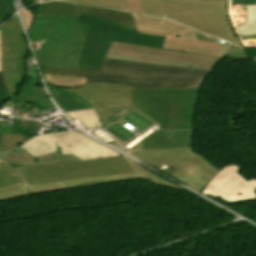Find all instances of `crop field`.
Here are the masks:
<instances>
[{
  "mask_svg": "<svg viewBox=\"0 0 256 256\" xmlns=\"http://www.w3.org/2000/svg\"><path fill=\"white\" fill-rule=\"evenodd\" d=\"M9 98L3 77L0 73V104Z\"/></svg>",
  "mask_w": 256,
  "mask_h": 256,
  "instance_id": "31",
  "label": "crop field"
},
{
  "mask_svg": "<svg viewBox=\"0 0 256 256\" xmlns=\"http://www.w3.org/2000/svg\"><path fill=\"white\" fill-rule=\"evenodd\" d=\"M0 134L4 136L3 138L9 140L16 146L29 139L28 137L20 136L2 129H0Z\"/></svg>",
  "mask_w": 256,
  "mask_h": 256,
  "instance_id": "28",
  "label": "crop field"
},
{
  "mask_svg": "<svg viewBox=\"0 0 256 256\" xmlns=\"http://www.w3.org/2000/svg\"><path fill=\"white\" fill-rule=\"evenodd\" d=\"M192 134V131L158 130L142 139L143 149L185 147V142H191Z\"/></svg>",
  "mask_w": 256,
  "mask_h": 256,
  "instance_id": "17",
  "label": "crop field"
},
{
  "mask_svg": "<svg viewBox=\"0 0 256 256\" xmlns=\"http://www.w3.org/2000/svg\"><path fill=\"white\" fill-rule=\"evenodd\" d=\"M236 165L221 169L203 189L201 194L227 203L256 201V180L247 182L238 173Z\"/></svg>",
  "mask_w": 256,
  "mask_h": 256,
  "instance_id": "11",
  "label": "crop field"
},
{
  "mask_svg": "<svg viewBox=\"0 0 256 256\" xmlns=\"http://www.w3.org/2000/svg\"><path fill=\"white\" fill-rule=\"evenodd\" d=\"M0 162H2V161L0 160Z\"/></svg>",
  "mask_w": 256,
  "mask_h": 256,
  "instance_id": "39",
  "label": "crop field"
},
{
  "mask_svg": "<svg viewBox=\"0 0 256 256\" xmlns=\"http://www.w3.org/2000/svg\"><path fill=\"white\" fill-rule=\"evenodd\" d=\"M232 4L255 5L256 4V0H232Z\"/></svg>",
  "mask_w": 256,
  "mask_h": 256,
  "instance_id": "34",
  "label": "crop field"
},
{
  "mask_svg": "<svg viewBox=\"0 0 256 256\" xmlns=\"http://www.w3.org/2000/svg\"><path fill=\"white\" fill-rule=\"evenodd\" d=\"M0 159L19 168L80 160L72 155H58L55 154V152L33 158L30 154L26 153L19 147L8 153H0Z\"/></svg>",
  "mask_w": 256,
  "mask_h": 256,
  "instance_id": "16",
  "label": "crop field"
},
{
  "mask_svg": "<svg viewBox=\"0 0 256 256\" xmlns=\"http://www.w3.org/2000/svg\"><path fill=\"white\" fill-rule=\"evenodd\" d=\"M138 32L166 36L164 49L222 58L228 44L197 40L196 31L175 22L145 15L132 14Z\"/></svg>",
  "mask_w": 256,
  "mask_h": 256,
  "instance_id": "8",
  "label": "crop field"
},
{
  "mask_svg": "<svg viewBox=\"0 0 256 256\" xmlns=\"http://www.w3.org/2000/svg\"><path fill=\"white\" fill-rule=\"evenodd\" d=\"M66 90L90 101L101 122L122 108L132 107L130 86L100 82Z\"/></svg>",
  "mask_w": 256,
  "mask_h": 256,
  "instance_id": "10",
  "label": "crop field"
},
{
  "mask_svg": "<svg viewBox=\"0 0 256 256\" xmlns=\"http://www.w3.org/2000/svg\"><path fill=\"white\" fill-rule=\"evenodd\" d=\"M40 15L43 14H61V13H81V14H90L98 15L100 17L106 18L113 22H116L119 25H122L126 28L136 30V26L133 22L132 15L129 13L107 10L96 7H88L76 4L62 3V2H53L41 5L38 8ZM137 31V30H136Z\"/></svg>",
  "mask_w": 256,
  "mask_h": 256,
  "instance_id": "14",
  "label": "crop field"
},
{
  "mask_svg": "<svg viewBox=\"0 0 256 256\" xmlns=\"http://www.w3.org/2000/svg\"><path fill=\"white\" fill-rule=\"evenodd\" d=\"M20 170L28 185L133 172L122 156L27 167Z\"/></svg>",
  "mask_w": 256,
  "mask_h": 256,
  "instance_id": "7",
  "label": "crop field"
},
{
  "mask_svg": "<svg viewBox=\"0 0 256 256\" xmlns=\"http://www.w3.org/2000/svg\"><path fill=\"white\" fill-rule=\"evenodd\" d=\"M136 178L138 177L135 173H128V174H122V175H116V176H102V177H95V178H88V179H81V180H74V181L28 186V189L31 194H34V193H40V192H47V191L60 190V189H66V188H72V187H79V186L107 183V182H114V181H121V180H129V179H136Z\"/></svg>",
  "mask_w": 256,
  "mask_h": 256,
  "instance_id": "18",
  "label": "crop field"
},
{
  "mask_svg": "<svg viewBox=\"0 0 256 256\" xmlns=\"http://www.w3.org/2000/svg\"><path fill=\"white\" fill-rule=\"evenodd\" d=\"M159 15L241 45L227 17L228 0H61ZM243 47V46H242Z\"/></svg>",
  "mask_w": 256,
  "mask_h": 256,
  "instance_id": "1",
  "label": "crop field"
},
{
  "mask_svg": "<svg viewBox=\"0 0 256 256\" xmlns=\"http://www.w3.org/2000/svg\"><path fill=\"white\" fill-rule=\"evenodd\" d=\"M179 56V57H178ZM106 57L209 71L219 58L156 49L114 41Z\"/></svg>",
  "mask_w": 256,
  "mask_h": 256,
  "instance_id": "9",
  "label": "crop field"
},
{
  "mask_svg": "<svg viewBox=\"0 0 256 256\" xmlns=\"http://www.w3.org/2000/svg\"><path fill=\"white\" fill-rule=\"evenodd\" d=\"M154 94L197 95V89L149 90L132 87L133 107H137L146 112L159 123Z\"/></svg>",
  "mask_w": 256,
  "mask_h": 256,
  "instance_id": "15",
  "label": "crop field"
},
{
  "mask_svg": "<svg viewBox=\"0 0 256 256\" xmlns=\"http://www.w3.org/2000/svg\"><path fill=\"white\" fill-rule=\"evenodd\" d=\"M228 58H234V57H237V59L241 60V59H245V55L242 51V49L236 47V46H233L230 44V47H229V51H228V54L226 55Z\"/></svg>",
  "mask_w": 256,
  "mask_h": 256,
  "instance_id": "30",
  "label": "crop field"
},
{
  "mask_svg": "<svg viewBox=\"0 0 256 256\" xmlns=\"http://www.w3.org/2000/svg\"><path fill=\"white\" fill-rule=\"evenodd\" d=\"M47 87L55 102L64 112L92 108L90 102L74 93L63 91L48 84Z\"/></svg>",
  "mask_w": 256,
  "mask_h": 256,
  "instance_id": "19",
  "label": "crop field"
},
{
  "mask_svg": "<svg viewBox=\"0 0 256 256\" xmlns=\"http://www.w3.org/2000/svg\"><path fill=\"white\" fill-rule=\"evenodd\" d=\"M45 136L63 149L62 154H72L82 160L118 156L117 153L78 132Z\"/></svg>",
  "mask_w": 256,
  "mask_h": 256,
  "instance_id": "13",
  "label": "crop field"
},
{
  "mask_svg": "<svg viewBox=\"0 0 256 256\" xmlns=\"http://www.w3.org/2000/svg\"><path fill=\"white\" fill-rule=\"evenodd\" d=\"M75 17L38 16L28 34L31 41L41 42L40 50H34L40 66L76 69L88 25L74 22Z\"/></svg>",
  "mask_w": 256,
  "mask_h": 256,
  "instance_id": "2",
  "label": "crop field"
},
{
  "mask_svg": "<svg viewBox=\"0 0 256 256\" xmlns=\"http://www.w3.org/2000/svg\"><path fill=\"white\" fill-rule=\"evenodd\" d=\"M27 194H28V192H27L26 186L21 187V188H17V189H14V190H10V191L0 193V201L8 199V198L27 195Z\"/></svg>",
  "mask_w": 256,
  "mask_h": 256,
  "instance_id": "29",
  "label": "crop field"
},
{
  "mask_svg": "<svg viewBox=\"0 0 256 256\" xmlns=\"http://www.w3.org/2000/svg\"><path fill=\"white\" fill-rule=\"evenodd\" d=\"M75 21L89 24L77 69L99 71L113 40L161 48L165 38L138 33L98 16L78 14Z\"/></svg>",
  "mask_w": 256,
  "mask_h": 256,
  "instance_id": "5",
  "label": "crop field"
},
{
  "mask_svg": "<svg viewBox=\"0 0 256 256\" xmlns=\"http://www.w3.org/2000/svg\"><path fill=\"white\" fill-rule=\"evenodd\" d=\"M44 79L46 83H49L61 89L84 86L87 83L86 78L75 76L44 74Z\"/></svg>",
  "mask_w": 256,
  "mask_h": 256,
  "instance_id": "22",
  "label": "crop field"
},
{
  "mask_svg": "<svg viewBox=\"0 0 256 256\" xmlns=\"http://www.w3.org/2000/svg\"><path fill=\"white\" fill-rule=\"evenodd\" d=\"M102 78H87L90 82H112L149 89L198 88L206 71L127 62L105 58Z\"/></svg>",
  "mask_w": 256,
  "mask_h": 256,
  "instance_id": "3",
  "label": "crop field"
},
{
  "mask_svg": "<svg viewBox=\"0 0 256 256\" xmlns=\"http://www.w3.org/2000/svg\"><path fill=\"white\" fill-rule=\"evenodd\" d=\"M0 70H1V40H0Z\"/></svg>",
  "mask_w": 256,
  "mask_h": 256,
  "instance_id": "37",
  "label": "crop field"
},
{
  "mask_svg": "<svg viewBox=\"0 0 256 256\" xmlns=\"http://www.w3.org/2000/svg\"><path fill=\"white\" fill-rule=\"evenodd\" d=\"M2 40V70L11 99L37 103L45 108L53 107L49 97L38 83L40 80L36 67H24L23 60L27 54L26 43L22 36V28L18 16H14L0 27ZM10 52V53H8ZM31 76L34 80L27 83L20 97L17 93V85L21 84L22 76Z\"/></svg>",
  "mask_w": 256,
  "mask_h": 256,
  "instance_id": "4",
  "label": "crop field"
},
{
  "mask_svg": "<svg viewBox=\"0 0 256 256\" xmlns=\"http://www.w3.org/2000/svg\"><path fill=\"white\" fill-rule=\"evenodd\" d=\"M246 11V22L243 25L237 27L240 35L242 36L256 34V5L246 6Z\"/></svg>",
  "mask_w": 256,
  "mask_h": 256,
  "instance_id": "25",
  "label": "crop field"
},
{
  "mask_svg": "<svg viewBox=\"0 0 256 256\" xmlns=\"http://www.w3.org/2000/svg\"><path fill=\"white\" fill-rule=\"evenodd\" d=\"M126 153L153 166L167 165V173L181 183L201 192L220 170L187 148L136 150Z\"/></svg>",
  "mask_w": 256,
  "mask_h": 256,
  "instance_id": "6",
  "label": "crop field"
},
{
  "mask_svg": "<svg viewBox=\"0 0 256 256\" xmlns=\"http://www.w3.org/2000/svg\"><path fill=\"white\" fill-rule=\"evenodd\" d=\"M256 61V60H255Z\"/></svg>",
  "mask_w": 256,
  "mask_h": 256,
  "instance_id": "41",
  "label": "crop field"
},
{
  "mask_svg": "<svg viewBox=\"0 0 256 256\" xmlns=\"http://www.w3.org/2000/svg\"><path fill=\"white\" fill-rule=\"evenodd\" d=\"M130 160V159H129ZM127 159V161L130 163V165L132 166V168L134 169L135 173L138 175V177L140 179H143V180H147V181H150V182H153V183H157V184H161V185H165V186H169V187H173V188H179V189H183L153 173H151L150 171L144 169L143 167L129 161Z\"/></svg>",
  "mask_w": 256,
  "mask_h": 256,
  "instance_id": "24",
  "label": "crop field"
},
{
  "mask_svg": "<svg viewBox=\"0 0 256 256\" xmlns=\"http://www.w3.org/2000/svg\"><path fill=\"white\" fill-rule=\"evenodd\" d=\"M197 35H198V39H201V40L223 42V41L217 40V39H215V38H212V37H210V36H207V35H205V34H203V33H200V32H198V31H197ZM223 43H225V42H223Z\"/></svg>",
  "mask_w": 256,
  "mask_h": 256,
  "instance_id": "35",
  "label": "crop field"
},
{
  "mask_svg": "<svg viewBox=\"0 0 256 256\" xmlns=\"http://www.w3.org/2000/svg\"><path fill=\"white\" fill-rule=\"evenodd\" d=\"M43 73L48 74H63V75H75L84 77H101V72L98 71H86V70H70V69H58V68H46L42 67Z\"/></svg>",
  "mask_w": 256,
  "mask_h": 256,
  "instance_id": "26",
  "label": "crop field"
},
{
  "mask_svg": "<svg viewBox=\"0 0 256 256\" xmlns=\"http://www.w3.org/2000/svg\"><path fill=\"white\" fill-rule=\"evenodd\" d=\"M0 135V151H8L9 149L15 147L12 143L2 138Z\"/></svg>",
  "mask_w": 256,
  "mask_h": 256,
  "instance_id": "33",
  "label": "crop field"
},
{
  "mask_svg": "<svg viewBox=\"0 0 256 256\" xmlns=\"http://www.w3.org/2000/svg\"><path fill=\"white\" fill-rule=\"evenodd\" d=\"M14 6L11 0H2V10L0 24L7 20L10 16L15 13Z\"/></svg>",
  "mask_w": 256,
  "mask_h": 256,
  "instance_id": "27",
  "label": "crop field"
},
{
  "mask_svg": "<svg viewBox=\"0 0 256 256\" xmlns=\"http://www.w3.org/2000/svg\"><path fill=\"white\" fill-rule=\"evenodd\" d=\"M42 1H45V0H42Z\"/></svg>",
  "mask_w": 256,
  "mask_h": 256,
  "instance_id": "40",
  "label": "crop field"
},
{
  "mask_svg": "<svg viewBox=\"0 0 256 256\" xmlns=\"http://www.w3.org/2000/svg\"><path fill=\"white\" fill-rule=\"evenodd\" d=\"M21 14H22L26 29L28 31V29L32 23L34 15L28 9L21 11Z\"/></svg>",
  "mask_w": 256,
  "mask_h": 256,
  "instance_id": "32",
  "label": "crop field"
},
{
  "mask_svg": "<svg viewBox=\"0 0 256 256\" xmlns=\"http://www.w3.org/2000/svg\"><path fill=\"white\" fill-rule=\"evenodd\" d=\"M135 149H142L141 141L138 142L136 145H134L131 149L129 150H135Z\"/></svg>",
  "mask_w": 256,
  "mask_h": 256,
  "instance_id": "36",
  "label": "crop field"
},
{
  "mask_svg": "<svg viewBox=\"0 0 256 256\" xmlns=\"http://www.w3.org/2000/svg\"><path fill=\"white\" fill-rule=\"evenodd\" d=\"M71 119L76 118L87 128L102 126L94 109L66 113ZM103 127V126H102Z\"/></svg>",
  "mask_w": 256,
  "mask_h": 256,
  "instance_id": "23",
  "label": "crop field"
},
{
  "mask_svg": "<svg viewBox=\"0 0 256 256\" xmlns=\"http://www.w3.org/2000/svg\"><path fill=\"white\" fill-rule=\"evenodd\" d=\"M0 9H1V0H0Z\"/></svg>",
  "mask_w": 256,
  "mask_h": 256,
  "instance_id": "38",
  "label": "crop field"
},
{
  "mask_svg": "<svg viewBox=\"0 0 256 256\" xmlns=\"http://www.w3.org/2000/svg\"><path fill=\"white\" fill-rule=\"evenodd\" d=\"M155 97L161 129H193V109L197 96Z\"/></svg>",
  "mask_w": 256,
  "mask_h": 256,
  "instance_id": "12",
  "label": "crop field"
},
{
  "mask_svg": "<svg viewBox=\"0 0 256 256\" xmlns=\"http://www.w3.org/2000/svg\"><path fill=\"white\" fill-rule=\"evenodd\" d=\"M25 182L19 170L0 163V192L25 186Z\"/></svg>",
  "mask_w": 256,
  "mask_h": 256,
  "instance_id": "21",
  "label": "crop field"
},
{
  "mask_svg": "<svg viewBox=\"0 0 256 256\" xmlns=\"http://www.w3.org/2000/svg\"><path fill=\"white\" fill-rule=\"evenodd\" d=\"M19 147L30 153L33 157L54 151L58 152L59 154L62 152L61 148L55 145L44 135L36 136Z\"/></svg>",
  "mask_w": 256,
  "mask_h": 256,
  "instance_id": "20",
  "label": "crop field"
}]
</instances>
